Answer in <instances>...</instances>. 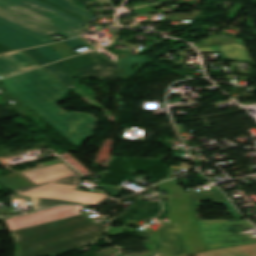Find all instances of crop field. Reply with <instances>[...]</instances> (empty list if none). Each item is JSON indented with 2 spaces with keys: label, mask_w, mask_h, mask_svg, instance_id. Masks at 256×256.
I'll return each mask as SVG.
<instances>
[{
  "label": "crop field",
  "mask_w": 256,
  "mask_h": 256,
  "mask_svg": "<svg viewBox=\"0 0 256 256\" xmlns=\"http://www.w3.org/2000/svg\"><path fill=\"white\" fill-rule=\"evenodd\" d=\"M80 211L61 206L6 219L16 256H54L93 243L107 225H93Z\"/></svg>",
  "instance_id": "1"
},
{
  "label": "crop field",
  "mask_w": 256,
  "mask_h": 256,
  "mask_svg": "<svg viewBox=\"0 0 256 256\" xmlns=\"http://www.w3.org/2000/svg\"><path fill=\"white\" fill-rule=\"evenodd\" d=\"M54 77L40 67L3 78L0 82L80 147L93 136L97 120L90 114L66 112L59 107L56 103L65 98L70 89Z\"/></svg>",
  "instance_id": "2"
},
{
  "label": "crop field",
  "mask_w": 256,
  "mask_h": 256,
  "mask_svg": "<svg viewBox=\"0 0 256 256\" xmlns=\"http://www.w3.org/2000/svg\"><path fill=\"white\" fill-rule=\"evenodd\" d=\"M82 177L64 162L0 177V183L20 196L31 198L33 210L55 204L99 205L104 194L77 191Z\"/></svg>",
  "instance_id": "3"
},
{
  "label": "crop field",
  "mask_w": 256,
  "mask_h": 256,
  "mask_svg": "<svg viewBox=\"0 0 256 256\" xmlns=\"http://www.w3.org/2000/svg\"><path fill=\"white\" fill-rule=\"evenodd\" d=\"M159 190H165L169 195L172 224L163 225L154 233L152 240L160 243L159 251L163 256H188L205 250L203 240L198 230L195 218L187 197L175 179L156 184ZM166 243V245H163Z\"/></svg>",
  "instance_id": "4"
},
{
  "label": "crop field",
  "mask_w": 256,
  "mask_h": 256,
  "mask_svg": "<svg viewBox=\"0 0 256 256\" xmlns=\"http://www.w3.org/2000/svg\"><path fill=\"white\" fill-rule=\"evenodd\" d=\"M207 249L256 242L252 234L240 235V230L254 227L248 222L227 223L223 220L196 221Z\"/></svg>",
  "instance_id": "5"
},
{
  "label": "crop field",
  "mask_w": 256,
  "mask_h": 256,
  "mask_svg": "<svg viewBox=\"0 0 256 256\" xmlns=\"http://www.w3.org/2000/svg\"><path fill=\"white\" fill-rule=\"evenodd\" d=\"M69 78L96 76L112 80L116 75L117 64L110 62L93 51L54 64Z\"/></svg>",
  "instance_id": "6"
},
{
  "label": "crop field",
  "mask_w": 256,
  "mask_h": 256,
  "mask_svg": "<svg viewBox=\"0 0 256 256\" xmlns=\"http://www.w3.org/2000/svg\"><path fill=\"white\" fill-rule=\"evenodd\" d=\"M0 17H3L44 37L54 32H58L68 38H72L77 35V33L71 30L21 9L4 0H0Z\"/></svg>",
  "instance_id": "7"
},
{
  "label": "crop field",
  "mask_w": 256,
  "mask_h": 256,
  "mask_svg": "<svg viewBox=\"0 0 256 256\" xmlns=\"http://www.w3.org/2000/svg\"><path fill=\"white\" fill-rule=\"evenodd\" d=\"M0 43L14 50H18L54 43V41L0 18Z\"/></svg>",
  "instance_id": "8"
},
{
  "label": "crop field",
  "mask_w": 256,
  "mask_h": 256,
  "mask_svg": "<svg viewBox=\"0 0 256 256\" xmlns=\"http://www.w3.org/2000/svg\"><path fill=\"white\" fill-rule=\"evenodd\" d=\"M186 195L188 197L196 219H200V215L197 212V209L200 207L199 201L204 200H210L213 203H221L227 207L233 218H241L240 215L225 198V196L218 189L208 190L199 194H196L192 190H189L186 192Z\"/></svg>",
  "instance_id": "9"
},
{
  "label": "crop field",
  "mask_w": 256,
  "mask_h": 256,
  "mask_svg": "<svg viewBox=\"0 0 256 256\" xmlns=\"http://www.w3.org/2000/svg\"><path fill=\"white\" fill-rule=\"evenodd\" d=\"M10 3H13L19 7H22L30 12H33L39 16H42L48 20H51L57 24H60L68 29H71L77 33L81 32V30L83 29V26L73 22V21H70L60 15H57L51 11H48L44 8H41L35 4H32L26 0H6Z\"/></svg>",
  "instance_id": "10"
},
{
  "label": "crop field",
  "mask_w": 256,
  "mask_h": 256,
  "mask_svg": "<svg viewBox=\"0 0 256 256\" xmlns=\"http://www.w3.org/2000/svg\"><path fill=\"white\" fill-rule=\"evenodd\" d=\"M201 53L219 52L223 61L252 63L244 43L199 49Z\"/></svg>",
  "instance_id": "11"
},
{
  "label": "crop field",
  "mask_w": 256,
  "mask_h": 256,
  "mask_svg": "<svg viewBox=\"0 0 256 256\" xmlns=\"http://www.w3.org/2000/svg\"><path fill=\"white\" fill-rule=\"evenodd\" d=\"M147 60L148 58L145 56H133L125 53H120L118 77L120 79L128 80L143 67L140 65H135L134 71H132L133 65H120V63L143 64L146 63Z\"/></svg>",
  "instance_id": "12"
},
{
  "label": "crop field",
  "mask_w": 256,
  "mask_h": 256,
  "mask_svg": "<svg viewBox=\"0 0 256 256\" xmlns=\"http://www.w3.org/2000/svg\"><path fill=\"white\" fill-rule=\"evenodd\" d=\"M4 55L23 71L40 66L22 51L6 53Z\"/></svg>",
  "instance_id": "13"
},
{
  "label": "crop field",
  "mask_w": 256,
  "mask_h": 256,
  "mask_svg": "<svg viewBox=\"0 0 256 256\" xmlns=\"http://www.w3.org/2000/svg\"><path fill=\"white\" fill-rule=\"evenodd\" d=\"M4 56L3 55L0 56V76L1 77L22 71Z\"/></svg>",
  "instance_id": "14"
},
{
  "label": "crop field",
  "mask_w": 256,
  "mask_h": 256,
  "mask_svg": "<svg viewBox=\"0 0 256 256\" xmlns=\"http://www.w3.org/2000/svg\"><path fill=\"white\" fill-rule=\"evenodd\" d=\"M48 1H50V2H52V3H55V4H57V5L61 6V7H64V8H66V9L70 10V11H73V12H75V13L81 15V16H84V17L90 19V20H92L93 18H95V17L92 16L90 13L85 12V11H83V10H81V9H79V8H77V7H75V6H73V5L70 3L69 0H48Z\"/></svg>",
  "instance_id": "15"
},
{
  "label": "crop field",
  "mask_w": 256,
  "mask_h": 256,
  "mask_svg": "<svg viewBox=\"0 0 256 256\" xmlns=\"http://www.w3.org/2000/svg\"><path fill=\"white\" fill-rule=\"evenodd\" d=\"M46 68L53 76H55L59 81H61L64 85L70 87L72 80H70L66 75H64L58 68H56L53 64L43 66Z\"/></svg>",
  "instance_id": "16"
},
{
  "label": "crop field",
  "mask_w": 256,
  "mask_h": 256,
  "mask_svg": "<svg viewBox=\"0 0 256 256\" xmlns=\"http://www.w3.org/2000/svg\"><path fill=\"white\" fill-rule=\"evenodd\" d=\"M49 46H51L53 49H55L64 58L76 55V53L69 46H67L64 42L50 44Z\"/></svg>",
  "instance_id": "17"
},
{
  "label": "crop field",
  "mask_w": 256,
  "mask_h": 256,
  "mask_svg": "<svg viewBox=\"0 0 256 256\" xmlns=\"http://www.w3.org/2000/svg\"><path fill=\"white\" fill-rule=\"evenodd\" d=\"M36 49L52 62L63 59L62 56H60L55 50H53L48 45L37 47Z\"/></svg>",
  "instance_id": "18"
},
{
  "label": "crop field",
  "mask_w": 256,
  "mask_h": 256,
  "mask_svg": "<svg viewBox=\"0 0 256 256\" xmlns=\"http://www.w3.org/2000/svg\"><path fill=\"white\" fill-rule=\"evenodd\" d=\"M34 60H36L41 65L51 63L47 58H45L40 52H38L35 48L22 50Z\"/></svg>",
  "instance_id": "19"
},
{
  "label": "crop field",
  "mask_w": 256,
  "mask_h": 256,
  "mask_svg": "<svg viewBox=\"0 0 256 256\" xmlns=\"http://www.w3.org/2000/svg\"><path fill=\"white\" fill-rule=\"evenodd\" d=\"M28 1H30V2H32V3H35V4L39 5V6H42V7L46 8V9H48V10H51V11L57 13V14H60V15L66 17V18H68V19H70V20H73V21H75V22H77V23H79V24H81V25H83V26L86 25V23H84V22H82V21H80V20H78V19H75V18H73V17H71V16H69V15H67V14H64V13H62V12L56 10V9H53V8H51V7H49V6L45 5V4H42V3H40V2H38V1H36V0H28Z\"/></svg>",
  "instance_id": "20"
},
{
  "label": "crop field",
  "mask_w": 256,
  "mask_h": 256,
  "mask_svg": "<svg viewBox=\"0 0 256 256\" xmlns=\"http://www.w3.org/2000/svg\"><path fill=\"white\" fill-rule=\"evenodd\" d=\"M100 187L104 192L112 197H117L123 190L121 187L115 186H105V185H97Z\"/></svg>",
  "instance_id": "21"
},
{
  "label": "crop field",
  "mask_w": 256,
  "mask_h": 256,
  "mask_svg": "<svg viewBox=\"0 0 256 256\" xmlns=\"http://www.w3.org/2000/svg\"><path fill=\"white\" fill-rule=\"evenodd\" d=\"M38 1H40V2H42V3H45V4H47V5H49V6L53 7V8H56V9H58V10L64 12V13H67V14H69V15L75 17V18H78V19H80V20H82V21H84V22H86V23H88V21H90V20H88V19H86V18H84V17H81V16H79V15H77V14H75V13H72V12H70V11L64 9V8H61V7H59V6L55 5V4H52V3H50V2H48V1H46V0H38Z\"/></svg>",
  "instance_id": "22"
},
{
  "label": "crop field",
  "mask_w": 256,
  "mask_h": 256,
  "mask_svg": "<svg viewBox=\"0 0 256 256\" xmlns=\"http://www.w3.org/2000/svg\"><path fill=\"white\" fill-rule=\"evenodd\" d=\"M131 224L136 225L137 222L128 220V222L125 224L124 227H122V228H120V229H117V228H115V227H109V229H108L107 232L109 233V236L118 235V234L122 233L124 229H126V230L132 232L133 230L127 228V227H128L129 225H131Z\"/></svg>",
  "instance_id": "23"
},
{
  "label": "crop field",
  "mask_w": 256,
  "mask_h": 256,
  "mask_svg": "<svg viewBox=\"0 0 256 256\" xmlns=\"http://www.w3.org/2000/svg\"><path fill=\"white\" fill-rule=\"evenodd\" d=\"M155 5L143 7V8H138L132 10L134 14H143V13H156V12H161L160 10H155L153 7Z\"/></svg>",
  "instance_id": "24"
},
{
  "label": "crop field",
  "mask_w": 256,
  "mask_h": 256,
  "mask_svg": "<svg viewBox=\"0 0 256 256\" xmlns=\"http://www.w3.org/2000/svg\"><path fill=\"white\" fill-rule=\"evenodd\" d=\"M65 43H66L67 45H69L72 49L78 48V47H82V46H86V44H85L84 42H82V41H81L80 39H78V38L65 41Z\"/></svg>",
  "instance_id": "25"
},
{
  "label": "crop field",
  "mask_w": 256,
  "mask_h": 256,
  "mask_svg": "<svg viewBox=\"0 0 256 256\" xmlns=\"http://www.w3.org/2000/svg\"><path fill=\"white\" fill-rule=\"evenodd\" d=\"M9 51H13V50L0 44V53L9 52Z\"/></svg>",
  "instance_id": "26"
},
{
  "label": "crop field",
  "mask_w": 256,
  "mask_h": 256,
  "mask_svg": "<svg viewBox=\"0 0 256 256\" xmlns=\"http://www.w3.org/2000/svg\"><path fill=\"white\" fill-rule=\"evenodd\" d=\"M153 3H156V2H153ZM142 5H144V4L143 3L132 4V8L142 6Z\"/></svg>",
  "instance_id": "27"
},
{
  "label": "crop field",
  "mask_w": 256,
  "mask_h": 256,
  "mask_svg": "<svg viewBox=\"0 0 256 256\" xmlns=\"http://www.w3.org/2000/svg\"><path fill=\"white\" fill-rule=\"evenodd\" d=\"M158 1L160 2V1H165V0H158Z\"/></svg>",
  "instance_id": "28"
}]
</instances>
